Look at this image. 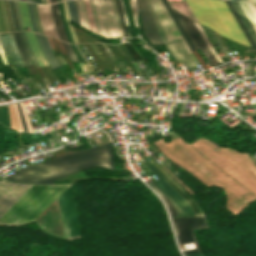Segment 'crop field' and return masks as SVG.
Wrapping results in <instances>:
<instances>
[{"mask_svg":"<svg viewBox=\"0 0 256 256\" xmlns=\"http://www.w3.org/2000/svg\"><path fill=\"white\" fill-rule=\"evenodd\" d=\"M72 184L61 186L34 185L1 218L0 223L33 222L57 198L66 237L80 233L78 214L73 201Z\"/></svg>","mask_w":256,"mask_h":256,"instance_id":"1","label":"crop field"},{"mask_svg":"<svg viewBox=\"0 0 256 256\" xmlns=\"http://www.w3.org/2000/svg\"><path fill=\"white\" fill-rule=\"evenodd\" d=\"M93 167L114 168L113 153L109 143L42 162L17 171L4 179L32 184H53L52 181L63 176Z\"/></svg>","mask_w":256,"mask_h":256,"instance_id":"2","label":"crop field"},{"mask_svg":"<svg viewBox=\"0 0 256 256\" xmlns=\"http://www.w3.org/2000/svg\"><path fill=\"white\" fill-rule=\"evenodd\" d=\"M199 23L220 35L250 46L224 0H186Z\"/></svg>","mask_w":256,"mask_h":256,"instance_id":"3","label":"crop field"},{"mask_svg":"<svg viewBox=\"0 0 256 256\" xmlns=\"http://www.w3.org/2000/svg\"><path fill=\"white\" fill-rule=\"evenodd\" d=\"M96 32L105 38L124 37L115 0H89Z\"/></svg>","mask_w":256,"mask_h":256,"instance_id":"4","label":"crop field"},{"mask_svg":"<svg viewBox=\"0 0 256 256\" xmlns=\"http://www.w3.org/2000/svg\"><path fill=\"white\" fill-rule=\"evenodd\" d=\"M180 244L194 242L196 249L183 251L184 255L201 252L194 234V229L209 228L205 216L172 218Z\"/></svg>","mask_w":256,"mask_h":256,"instance_id":"5","label":"crop field"},{"mask_svg":"<svg viewBox=\"0 0 256 256\" xmlns=\"http://www.w3.org/2000/svg\"><path fill=\"white\" fill-rule=\"evenodd\" d=\"M142 160L146 165L154 172L156 177L159 179L153 181L157 187L168 197L179 216L194 215L191 208L184 201V199L166 182V180L155 170V168L144 158L141 151L137 150Z\"/></svg>","mask_w":256,"mask_h":256,"instance_id":"6","label":"crop field"},{"mask_svg":"<svg viewBox=\"0 0 256 256\" xmlns=\"http://www.w3.org/2000/svg\"><path fill=\"white\" fill-rule=\"evenodd\" d=\"M150 2L159 20V23L162 27V30L165 34L167 41L169 42L180 38L188 53H192L184 38L182 37L181 33L179 32L178 28L176 27L174 21L172 20L171 16L169 15L168 11L166 10L165 6L163 5L162 1L150 0Z\"/></svg>","mask_w":256,"mask_h":256,"instance_id":"7","label":"crop field"},{"mask_svg":"<svg viewBox=\"0 0 256 256\" xmlns=\"http://www.w3.org/2000/svg\"><path fill=\"white\" fill-rule=\"evenodd\" d=\"M33 185L0 181V217Z\"/></svg>","mask_w":256,"mask_h":256,"instance_id":"8","label":"crop field"},{"mask_svg":"<svg viewBox=\"0 0 256 256\" xmlns=\"http://www.w3.org/2000/svg\"><path fill=\"white\" fill-rule=\"evenodd\" d=\"M146 3L153 17V20L155 22V25L157 27V30L159 32L162 42L164 46L167 48V50L169 51V53L172 55V57L175 59V61L176 62L184 61L188 69H193V70L198 69L195 63L193 62V60L191 59V57L187 54L180 39L167 43L149 0H146Z\"/></svg>","mask_w":256,"mask_h":256,"instance_id":"9","label":"crop field"},{"mask_svg":"<svg viewBox=\"0 0 256 256\" xmlns=\"http://www.w3.org/2000/svg\"><path fill=\"white\" fill-rule=\"evenodd\" d=\"M173 10V9H172ZM177 19L179 20L180 24L182 25L184 31L186 32L187 36L194 44L196 49L201 48L212 66L219 65L218 61L212 55V53L207 48L202 36L198 32L197 28L195 27L192 20L188 19L187 17L183 16L182 14L178 13L177 11L173 10Z\"/></svg>","mask_w":256,"mask_h":256,"instance_id":"10","label":"crop field"},{"mask_svg":"<svg viewBox=\"0 0 256 256\" xmlns=\"http://www.w3.org/2000/svg\"><path fill=\"white\" fill-rule=\"evenodd\" d=\"M136 1H137V6L139 9L140 15H141V19L143 22V26L146 32V36L149 42L154 45L161 44L162 42L160 40V37L158 35L154 22L151 18V15L149 13L145 0H136Z\"/></svg>","mask_w":256,"mask_h":256,"instance_id":"11","label":"crop field"},{"mask_svg":"<svg viewBox=\"0 0 256 256\" xmlns=\"http://www.w3.org/2000/svg\"><path fill=\"white\" fill-rule=\"evenodd\" d=\"M41 26L45 35L58 38L50 5H37ZM59 39V38H58Z\"/></svg>","mask_w":256,"mask_h":256,"instance_id":"12","label":"crop field"},{"mask_svg":"<svg viewBox=\"0 0 256 256\" xmlns=\"http://www.w3.org/2000/svg\"><path fill=\"white\" fill-rule=\"evenodd\" d=\"M153 166L160 172V174L167 180V182L187 201L189 206L194 211L195 215H204L199 206L184 192V190L153 160H150Z\"/></svg>","mask_w":256,"mask_h":256,"instance_id":"13","label":"crop field"},{"mask_svg":"<svg viewBox=\"0 0 256 256\" xmlns=\"http://www.w3.org/2000/svg\"><path fill=\"white\" fill-rule=\"evenodd\" d=\"M0 35H1V41H2V48H3V51H4L8 61L10 62V59L8 56V52H9L15 65H17L19 67H24L22 64V61L18 55L17 48L14 43L12 34L11 33H1ZM7 50H8V52H7Z\"/></svg>","mask_w":256,"mask_h":256,"instance_id":"14","label":"crop field"},{"mask_svg":"<svg viewBox=\"0 0 256 256\" xmlns=\"http://www.w3.org/2000/svg\"><path fill=\"white\" fill-rule=\"evenodd\" d=\"M34 34L52 70L60 68L61 65L57 60L56 56L54 55L47 38L36 33Z\"/></svg>","mask_w":256,"mask_h":256,"instance_id":"15","label":"crop field"},{"mask_svg":"<svg viewBox=\"0 0 256 256\" xmlns=\"http://www.w3.org/2000/svg\"><path fill=\"white\" fill-rule=\"evenodd\" d=\"M51 7H52L53 17H54V21L56 24L59 38L63 41L69 42L66 31L63 26L62 19H61V12H60V8H59V4L58 3L52 4Z\"/></svg>","mask_w":256,"mask_h":256,"instance_id":"16","label":"crop field"},{"mask_svg":"<svg viewBox=\"0 0 256 256\" xmlns=\"http://www.w3.org/2000/svg\"><path fill=\"white\" fill-rule=\"evenodd\" d=\"M14 38H15V42L19 51V55L23 61V64L25 67H33L29 54L27 52L26 46L24 44L23 38L21 36V33H13Z\"/></svg>","mask_w":256,"mask_h":256,"instance_id":"17","label":"crop field"},{"mask_svg":"<svg viewBox=\"0 0 256 256\" xmlns=\"http://www.w3.org/2000/svg\"><path fill=\"white\" fill-rule=\"evenodd\" d=\"M27 38L29 40V43L31 45V48H32V51L34 53V56L37 60V62L39 63L40 66H45V65H49L34 37V34L33 33H27Z\"/></svg>","mask_w":256,"mask_h":256,"instance_id":"18","label":"crop field"},{"mask_svg":"<svg viewBox=\"0 0 256 256\" xmlns=\"http://www.w3.org/2000/svg\"><path fill=\"white\" fill-rule=\"evenodd\" d=\"M233 7L235 8L236 12L238 13L240 19L242 20L243 24L245 25L247 31L249 32L251 38L253 39L254 43L256 44V34L251 27L249 21L247 20L246 16L244 15L242 9L240 8L238 2L231 1Z\"/></svg>","mask_w":256,"mask_h":256,"instance_id":"19","label":"crop field"},{"mask_svg":"<svg viewBox=\"0 0 256 256\" xmlns=\"http://www.w3.org/2000/svg\"><path fill=\"white\" fill-rule=\"evenodd\" d=\"M75 2H76V7H77L78 16H79L81 26L90 30L89 25H88L87 16H86L84 1L83 0H75Z\"/></svg>","mask_w":256,"mask_h":256,"instance_id":"20","label":"crop field"},{"mask_svg":"<svg viewBox=\"0 0 256 256\" xmlns=\"http://www.w3.org/2000/svg\"><path fill=\"white\" fill-rule=\"evenodd\" d=\"M239 4L256 32V15L254 14L253 10L251 9L249 3L239 2Z\"/></svg>","mask_w":256,"mask_h":256,"instance_id":"21","label":"crop field"},{"mask_svg":"<svg viewBox=\"0 0 256 256\" xmlns=\"http://www.w3.org/2000/svg\"><path fill=\"white\" fill-rule=\"evenodd\" d=\"M19 4H20V10H21V16H22L24 28L25 26H27L29 31H33L27 4L24 2H19Z\"/></svg>","mask_w":256,"mask_h":256,"instance_id":"22","label":"crop field"},{"mask_svg":"<svg viewBox=\"0 0 256 256\" xmlns=\"http://www.w3.org/2000/svg\"><path fill=\"white\" fill-rule=\"evenodd\" d=\"M149 185L156 191V193L165 201L169 213L171 216H178L177 212L175 211V209L173 208L172 204L170 203V201L167 199V197L156 187V185L151 182L149 183Z\"/></svg>","mask_w":256,"mask_h":256,"instance_id":"23","label":"crop field"},{"mask_svg":"<svg viewBox=\"0 0 256 256\" xmlns=\"http://www.w3.org/2000/svg\"><path fill=\"white\" fill-rule=\"evenodd\" d=\"M168 2H171V1H168ZM172 3H178V2H172ZM172 3H169L170 6H172L173 8H175L176 10L184 13L185 15L187 16H191V18L195 21H197V19L195 18L194 14L192 13V11L190 10L189 6L187 5L186 2L183 3L184 7L186 8V10L188 11L189 15L187 14L185 8L183 7V5H179V4H182V3H179V4H172ZM198 22V21H197Z\"/></svg>","mask_w":256,"mask_h":256,"instance_id":"24","label":"crop field"},{"mask_svg":"<svg viewBox=\"0 0 256 256\" xmlns=\"http://www.w3.org/2000/svg\"><path fill=\"white\" fill-rule=\"evenodd\" d=\"M226 4L228 5L229 9L231 10L232 14L234 15L235 19L237 20L238 24L242 28L243 32L245 33L246 37L248 38L249 42L251 43L252 47L256 48L255 44L253 43L252 39L250 38L248 32L246 31L245 27L243 26L241 20L239 19L237 13L235 12L234 8L232 7L230 1H226Z\"/></svg>","mask_w":256,"mask_h":256,"instance_id":"25","label":"crop field"},{"mask_svg":"<svg viewBox=\"0 0 256 256\" xmlns=\"http://www.w3.org/2000/svg\"><path fill=\"white\" fill-rule=\"evenodd\" d=\"M163 3L165 4L167 10L169 11L170 15L172 16L173 20L175 21L176 25L178 26L180 32L182 33L183 37L185 38L186 42L188 43V45L190 46L191 50L194 51V47L191 44V42L189 41L188 37L186 36L185 32L183 31L182 27L180 26L179 22L177 21L175 15L173 14L172 10L170 9L169 5L167 4L166 0H162Z\"/></svg>","mask_w":256,"mask_h":256,"instance_id":"26","label":"crop field"},{"mask_svg":"<svg viewBox=\"0 0 256 256\" xmlns=\"http://www.w3.org/2000/svg\"><path fill=\"white\" fill-rule=\"evenodd\" d=\"M0 124L11 128L7 106L0 107Z\"/></svg>","mask_w":256,"mask_h":256,"instance_id":"27","label":"crop field"},{"mask_svg":"<svg viewBox=\"0 0 256 256\" xmlns=\"http://www.w3.org/2000/svg\"><path fill=\"white\" fill-rule=\"evenodd\" d=\"M66 2H67V5H68V8H69L71 21L79 25V21H78V16H77V11H76L74 0L66 1Z\"/></svg>","mask_w":256,"mask_h":256,"instance_id":"28","label":"crop field"},{"mask_svg":"<svg viewBox=\"0 0 256 256\" xmlns=\"http://www.w3.org/2000/svg\"><path fill=\"white\" fill-rule=\"evenodd\" d=\"M195 23V22H194ZM195 25L197 26L199 32L201 33V35L203 36L208 48L211 50V52L214 54V56L217 58V60L222 63V60L220 59V57L218 56V54L216 53V51L214 50V48L212 47L211 43L209 42L207 36L205 35V33L202 31L201 27L199 24L195 23Z\"/></svg>","mask_w":256,"mask_h":256,"instance_id":"29","label":"crop field"},{"mask_svg":"<svg viewBox=\"0 0 256 256\" xmlns=\"http://www.w3.org/2000/svg\"><path fill=\"white\" fill-rule=\"evenodd\" d=\"M2 1H3L4 9H5L4 0H2ZM2 1H1V5H2ZM3 5H2V9H3ZM4 9H3V14H4V19H5V24H6V18H5L6 9H5V13H4ZM3 14H2L1 6H0V26H1V30H2V32H7L8 28H9V31L11 32L9 22H8V18H7L8 28H7V24H6V28H7V31H6L5 24H4V19H3ZM6 17H7V14H6Z\"/></svg>","mask_w":256,"mask_h":256,"instance_id":"30","label":"crop field"},{"mask_svg":"<svg viewBox=\"0 0 256 256\" xmlns=\"http://www.w3.org/2000/svg\"><path fill=\"white\" fill-rule=\"evenodd\" d=\"M61 43H62V45H63V47H64V49H65V51H66V53H67V55L69 57V59L71 61H73V62L78 61V58H77V56H76V54H75L71 44H66V43H64L62 41H61Z\"/></svg>","mask_w":256,"mask_h":256,"instance_id":"31","label":"crop field"},{"mask_svg":"<svg viewBox=\"0 0 256 256\" xmlns=\"http://www.w3.org/2000/svg\"><path fill=\"white\" fill-rule=\"evenodd\" d=\"M117 5H118L119 13H120V18H121V22H122L124 34H125V36L128 37L127 29H126V24H125L123 12H122L121 5H120V1H119V0H117Z\"/></svg>","mask_w":256,"mask_h":256,"instance_id":"32","label":"crop field"},{"mask_svg":"<svg viewBox=\"0 0 256 256\" xmlns=\"http://www.w3.org/2000/svg\"><path fill=\"white\" fill-rule=\"evenodd\" d=\"M21 33H22V35H23V38H24V40H25V43H26V46H27V48H28L29 54H30V56H31V60H32L33 64L35 65V67H38V64H37V62H36V60H35V58H34V56H33V53H32V51H31V48H30V45H29L28 40H27V38H26V35H25L24 32H21Z\"/></svg>","mask_w":256,"mask_h":256,"instance_id":"33","label":"crop field"},{"mask_svg":"<svg viewBox=\"0 0 256 256\" xmlns=\"http://www.w3.org/2000/svg\"><path fill=\"white\" fill-rule=\"evenodd\" d=\"M84 1H85L87 16H88V20H89V24H90L91 30H92L93 32H95L94 24H93V21H92V17H91L89 5H88V0H84ZM95 33H96V32H95Z\"/></svg>","mask_w":256,"mask_h":256,"instance_id":"34","label":"crop field"},{"mask_svg":"<svg viewBox=\"0 0 256 256\" xmlns=\"http://www.w3.org/2000/svg\"><path fill=\"white\" fill-rule=\"evenodd\" d=\"M63 3H64L65 14H66L68 26H69V29H70V31H71V33H72V37H73L74 43H78V42H77V39H76V37H75V34H74V32H73V29H72V27L69 25L70 18H69V13H68V8H67V5H66V2L64 1Z\"/></svg>","mask_w":256,"mask_h":256,"instance_id":"35","label":"crop field"},{"mask_svg":"<svg viewBox=\"0 0 256 256\" xmlns=\"http://www.w3.org/2000/svg\"><path fill=\"white\" fill-rule=\"evenodd\" d=\"M209 30V29H208ZM209 32L211 33L212 37L214 38L215 42L217 43L218 47L220 48V50L223 52V54L225 55V57L228 59V61H231L227 52L224 50V48L221 46L220 42L218 41L217 37L215 36L214 32L209 30Z\"/></svg>","mask_w":256,"mask_h":256,"instance_id":"36","label":"crop field"},{"mask_svg":"<svg viewBox=\"0 0 256 256\" xmlns=\"http://www.w3.org/2000/svg\"><path fill=\"white\" fill-rule=\"evenodd\" d=\"M33 10H34V16H35V20H36L38 32L41 33V34H43V33H42L41 26H40V23H39V19H38V13H37L36 4H33Z\"/></svg>","mask_w":256,"mask_h":256,"instance_id":"37","label":"crop field"},{"mask_svg":"<svg viewBox=\"0 0 256 256\" xmlns=\"http://www.w3.org/2000/svg\"><path fill=\"white\" fill-rule=\"evenodd\" d=\"M9 2H10L12 14H13V18H14L15 29H16V31H19V29H18V23H17V17H16V13H15V8H14L13 1H9Z\"/></svg>","mask_w":256,"mask_h":256,"instance_id":"38","label":"crop field"},{"mask_svg":"<svg viewBox=\"0 0 256 256\" xmlns=\"http://www.w3.org/2000/svg\"><path fill=\"white\" fill-rule=\"evenodd\" d=\"M15 4V8H16V12H17V16H18V22H19V28L20 31H24V28L22 26V22H21V17H20V13H19V8H18V1H14Z\"/></svg>","mask_w":256,"mask_h":256,"instance_id":"39","label":"crop field"},{"mask_svg":"<svg viewBox=\"0 0 256 256\" xmlns=\"http://www.w3.org/2000/svg\"><path fill=\"white\" fill-rule=\"evenodd\" d=\"M28 7H29V11H30V16H31V20H32V25H33L34 32L38 33V32H37V28H36V24H35V21H34V17H33V11H32V5H31V3H28Z\"/></svg>","mask_w":256,"mask_h":256,"instance_id":"40","label":"crop field"},{"mask_svg":"<svg viewBox=\"0 0 256 256\" xmlns=\"http://www.w3.org/2000/svg\"><path fill=\"white\" fill-rule=\"evenodd\" d=\"M130 5H131V9H132V13H133L135 25H136V27H138V26H137V19H136L137 11H136L135 2L130 3Z\"/></svg>","mask_w":256,"mask_h":256,"instance_id":"41","label":"crop field"},{"mask_svg":"<svg viewBox=\"0 0 256 256\" xmlns=\"http://www.w3.org/2000/svg\"><path fill=\"white\" fill-rule=\"evenodd\" d=\"M16 104H17V107H18V111H19L22 123H23L24 130L27 131L26 124H25V121H24V118H23V114H22V111H21V108H20V104L19 103H16Z\"/></svg>","mask_w":256,"mask_h":256,"instance_id":"42","label":"crop field"},{"mask_svg":"<svg viewBox=\"0 0 256 256\" xmlns=\"http://www.w3.org/2000/svg\"><path fill=\"white\" fill-rule=\"evenodd\" d=\"M0 56H1L2 60H3V63L7 64L6 60H5V57H4L3 53H2L1 43H0Z\"/></svg>","mask_w":256,"mask_h":256,"instance_id":"43","label":"crop field"},{"mask_svg":"<svg viewBox=\"0 0 256 256\" xmlns=\"http://www.w3.org/2000/svg\"><path fill=\"white\" fill-rule=\"evenodd\" d=\"M20 104H21V103H20ZM21 107H22V105H21ZM22 111H23V114H24V117H25V112H24V110H23V107H22ZM25 121H26V124H27V127H28V131L31 132V131H30V128H29V125H28V123H27L26 117H25Z\"/></svg>","mask_w":256,"mask_h":256,"instance_id":"44","label":"crop field"},{"mask_svg":"<svg viewBox=\"0 0 256 256\" xmlns=\"http://www.w3.org/2000/svg\"><path fill=\"white\" fill-rule=\"evenodd\" d=\"M252 9L254 10L255 14H256V4L250 3Z\"/></svg>","mask_w":256,"mask_h":256,"instance_id":"45","label":"crop field"},{"mask_svg":"<svg viewBox=\"0 0 256 256\" xmlns=\"http://www.w3.org/2000/svg\"><path fill=\"white\" fill-rule=\"evenodd\" d=\"M32 2L43 4L42 0H32Z\"/></svg>","mask_w":256,"mask_h":256,"instance_id":"46","label":"crop field"},{"mask_svg":"<svg viewBox=\"0 0 256 256\" xmlns=\"http://www.w3.org/2000/svg\"><path fill=\"white\" fill-rule=\"evenodd\" d=\"M15 106H16V105H15ZM16 110H17V108H16ZM17 114H18V111H17ZM18 118H19V114H18ZM19 122H20L21 130L24 131V130H23V127H22V124H21V121H20V118H19Z\"/></svg>","mask_w":256,"mask_h":256,"instance_id":"47","label":"crop field"},{"mask_svg":"<svg viewBox=\"0 0 256 256\" xmlns=\"http://www.w3.org/2000/svg\"><path fill=\"white\" fill-rule=\"evenodd\" d=\"M22 103V105H23V102H21ZM24 107V106H23ZM24 110H25V108H24ZM26 112V111H25ZM26 117H27V114H26ZM27 120H28V123H29V125H30V128H31V131H32V127H31V124H30V122H29V119H28V117H27ZM33 132V131H32Z\"/></svg>","mask_w":256,"mask_h":256,"instance_id":"48","label":"crop field"},{"mask_svg":"<svg viewBox=\"0 0 256 256\" xmlns=\"http://www.w3.org/2000/svg\"><path fill=\"white\" fill-rule=\"evenodd\" d=\"M187 256H203L202 253L199 254H193V255H187Z\"/></svg>","mask_w":256,"mask_h":256,"instance_id":"49","label":"crop field"},{"mask_svg":"<svg viewBox=\"0 0 256 256\" xmlns=\"http://www.w3.org/2000/svg\"><path fill=\"white\" fill-rule=\"evenodd\" d=\"M8 2V1H7ZM8 7H9V3H8ZM9 11H10V7H9ZM10 15H11V12H10ZM11 19H12V16H11ZM13 22V21H12ZM14 26V25H13ZM15 30V29H14Z\"/></svg>","mask_w":256,"mask_h":256,"instance_id":"50","label":"crop field"},{"mask_svg":"<svg viewBox=\"0 0 256 256\" xmlns=\"http://www.w3.org/2000/svg\"><path fill=\"white\" fill-rule=\"evenodd\" d=\"M57 0H50V3H52V2H56Z\"/></svg>","mask_w":256,"mask_h":256,"instance_id":"51","label":"crop field"},{"mask_svg":"<svg viewBox=\"0 0 256 256\" xmlns=\"http://www.w3.org/2000/svg\"><path fill=\"white\" fill-rule=\"evenodd\" d=\"M43 3H44V4H47V3H46V0H43Z\"/></svg>","mask_w":256,"mask_h":256,"instance_id":"52","label":"crop field"},{"mask_svg":"<svg viewBox=\"0 0 256 256\" xmlns=\"http://www.w3.org/2000/svg\"><path fill=\"white\" fill-rule=\"evenodd\" d=\"M250 1L256 2V0H250Z\"/></svg>","mask_w":256,"mask_h":256,"instance_id":"53","label":"crop field"},{"mask_svg":"<svg viewBox=\"0 0 256 256\" xmlns=\"http://www.w3.org/2000/svg\"><path fill=\"white\" fill-rule=\"evenodd\" d=\"M27 1L31 2V0H27Z\"/></svg>","mask_w":256,"mask_h":256,"instance_id":"54","label":"crop field"},{"mask_svg":"<svg viewBox=\"0 0 256 256\" xmlns=\"http://www.w3.org/2000/svg\"><path fill=\"white\" fill-rule=\"evenodd\" d=\"M244 1H249V0H244Z\"/></svg>","mask_w":256,"mask_h":256,"instance_id":"55","label":"crop field"},{"mask_svg":"<svg viewBox=\"0 0 256 256\" xmlns=\"http://www.w3.org/2000/svg\"><path fill=\"white\" fill-rule=\"evenodd\" d=\"M48 1V4H49V0H47Z\"/></svg>","mask_w":256,"mask_h":256,"instance_id":"56","label":"crop field"},{"mask_svg":"<svg viewBox=\"0 0 256 256\" xmlns=\"http://www.w3.org/2000/svg\"><path fill=\"white\" fill-rule=\"evenodd\" d=\"M59 1H61V0H59Z\"/></svg>","mask_w":256,"mask_h":256,"instance_id":"57","label":"crop field"},{"mask_svg":"<svg viewBox=\"0 0 256 256\" xmlns=\"http://www.w3.org/2000/svg\"><path fill=\"white\" fill-rule=\"evenodd\" d=\"M255 163H256V161H255Z\"/></svg>","mask_w":256,"mask_h":256,"instance_id":"58","label":"crop field"},{"mask_svg":"<svg viewBox=\"0 0 256 256\" xmlns=\"http://www.w3.org/2000/svg\"><path fill=\"white\" fill-rule=\"evenodd\" d=\"M26 1V0H25Z\"/></svg>","mask_w":256,"mask_h":256,"instance_id":"59","label":"crop field"},{"mask_svg":"<svg viewBox=\"0 0 256 256\" xmlns=\"http://www.w3.org/2000/svg\"><path fill=\"white\" fill-rule=\"evenodd\" d=\"M1 63V62H0Z\"/></svg>","mask_w":256,"mask_h":256,"instance_id":"60","label":"crop field"}]
</instances>
